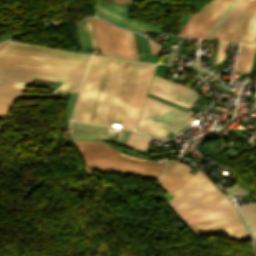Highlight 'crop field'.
<instances>
[{
  "label": "crop field",
  "mask_w": 256,
  "mask_h": 256,
  "mask_svg": "<svg viewBox=\"0 0 256 256\" xmlns=\"http://www.w3.org/2000/svg\"><path fill=\"white\" fill-rule=\"evenodd\" d=\"M88 169L158 178L165 164L124 155L97 141H74Z\"/></svg>",
  "instance_id": "crop-field-1"
},
{
  "label": "crop field",
  "mask_w": 256,
  "mask_h": 256,
  "mask_svg": "<svg viewBox=\"0 0 256 256\" xmlns=\"http://www.w3.org/2000/svg\"><path fill=\"white\" fill-rule=\"evenodd\" d=\"M191 114L146 98L136 130L157 139L169 133H179L193 121Z\"/></svg>",
  "instance_id": "crop-field-2"
},
{
  "label": "crop field",
  "mask_w": 256,
  "mask_h": 256,
  "mask_svg": "<svg viewBox=\"0 0 256 256\" xmlns=\"http://www.w3.org/2000/svg\"><path fill=\"white\" fill-rule=\"evenodd\" d=\"M224 200L227 198L202 174L166 204L179 218Z\"/></svg>",
  "instance_id": "crop-field-3"
},
{
  "label": "crop field",
  "mask_w": 256,
  "mask_h": 256,
  "mask_svg": "<svg viewBox=\"0 0 256 256\" xmlns=\"http://www.w3.org/2000/svg\"><path fill=\"white\" fill-rule=\"evenodd\" d=\"M31 77L81 84L79 78L0 66V105L12 107Z\"/></svg>",
  "instance_id": "crop-field-4"
},
{
  "label": "crop field",
  "mask_w": 256,
  "mask_h": 256,
  "mask_svg": "<svg viewBox=\"0 0 256 256\" xmlns=\"http://www.w3.org/2000/svg\"><path fill=\"white\" fill-rule=\"evenodd\" d=\"M0 56L85 69L89 56L10 43Z\"/></svg>",
  "instance_id": "crop-field-5"
},
{
  "label": "crop field",
  "mask_w": 256,
  "mask_h": 256,
  "mask_svg": "<svg viewBox=\"0 0 256 256\" xmlns=\"http://www.w3.org/2000/svg\"><path fill=\"white\" fill-rule=\"evenodd\" d=\"M143 63L127 61L106 124H123Z\"/></svg>",
  "instance_id": "crop-field-6"
},
{
  "label": "crop field",
  "mask_w": 256,
  "mask_h": 256,
  "mask_svg": "<svg viewBox=\"0 0 256 256\" xmlns=\"http://www.w3.org/2000/svg\"><path fill=\"white\" fill-rule=\"evenodd\" d=\"M107 57L92 56L71 119L87 121Z\"/></svg>",
  "instance_id": "crop-field-7"
},
{
  "label": "crop field",
  "mask_w": 256,
  "mask_h": 256,
  "mask_svg": "<svg viewBox=\"0 0 256 256\" xmlns=\"http://www.w3.org/2000/svg\"><path fill=\"white\" fill-rule=\"evenodd\" d=\"M93 20L101 53L131 59L125 30L96 18Z\"/></svg>",
  "instance_id": "crop-field-8"
},
{
  "label": "crop field",
  "mask_w": 256,
  "mask_h": 256,
  "mask_svg": "<svg viewBox=\"0 0 256 256\" xmlns=\"http://www.w3.org/2000/svg\"><path fill=\"white\" fill-rule=\"evenodd\" d=\"M127 6L100 0L94 8L97 16L104 18L114 24L133 29L144 33L143 31L159 33L160 27L154 25L143 24L125 16ZM146 34V33H144Z\"/></svg>",
  "instance_id": "crop-field-9"
},
{
  "label": "crop field",
  "mask_w": 256,
  "mask_h": 256,
  "mask_svg": "<svg viewBox=\"0 0 256 256\" xmlns=\"http://www.w3.org/2000/svg\"><path fill=\"white\" fill-rule=\"evenodd\" d=\"M224 39L256 43V0H249Z\"/></svg>",
  "instance_id": "crop-field-10"
},
{
  "label": "crop field",
  "mask_w": 256,
  "mask_h": 256,
  "mask_svg": "<svg viewBox=\"0 0 256 256\" xmlns=\"http://www.w3.org/2000/svg\"><path fill=\"white\" fill-rule=\"evenodd\" d=\"M228 0H213L200 13L192 14L180 34L203 38Z\"/></svg>",
  "instance_id": "crop-field-11"
},
{
  "label": "crop field",
  "mask_w": 256,
  "mask_h": 256,
  "mask_svg": "<svg viewBox=\"0 0 256 256\" xmlns=\"http://www.w3.org/2000/svg\"><path fill=\"white\" fill-rule=\"evenodd\" d=\"M194 234L231 233V238L249 237L238 214L188 226Z\"/></svg>",
  "instance_id": "crop-field-12"
},
{
  "label": "crop field",
  "mask_w": 256,
  "mask_h": 256,
  "mask_svg": "<svg viewBox=\"0 0 256 256\" xmlns=\"http://www.w3.org/2000/svg\"><path fill=\"white\" fill-rule=\"evenodd\" d=\"M149 92L188 108L192 105L193 101L198 95V92L167 81L156 75L154 76Z\"/></svg>",
  "instance_id": "crop-field-13"
},
{
  "label": "crop field",
  "mask_w": 256,
  "mask_h": 256,
  "mask_svg": "<svg viewBox=\"0 0 256 256\" xmlns=\"http://www.w3.org/2000/svg\"><path fill=\"white\" fill-rule=\"evenodd\" d=\"M155 64L144 63L122 128L134 130Z\"/></svg>",
  "instance_id": "crop-field-14"
},
{
  "label": "crop field",
  "mask_w": 256,
  "mask_h": 256,
  "mask_svg": "<svg viewBox=\"0 0 256 256\" xmlns=\"http://www.w3.org/2000/svg\"><path fill=\"white\" fill-rule=\"evenodd\" d=\"M125 60L115 59L94 123L105 124L114 94L116 92Z\"/></svg>",
  "instance_id": "crop-field-15"
},
{
  "label": "crop field",
  "mask_w": 256,
  "mask_h": 256,
  "mask_svg": "<svg viewBox=\"0 0 256 256\" xmlns=\"http://www.w3.org/2000/svg\"><path fill=\"white\" fill-rule=\"evenodd\" d=\"M0 65L82 78V69L0 57Z\"/></svg>",
  "instance_id": "crop-field-16"
},
{
  "label": "crop field",
  "mask_w": 256,
  "mask_h": 256,
  "mask_svg": "<svg viewBox=\"0 0 256 256\" xmlns=\"http://www.w3.org/2000/svg\"><path fill=\"white\" fill-rule=\"evenodd\" d=\"M190 169L191 168L189 166L178 162L160 186L175 195L182 188L202 174L198 170L194 175H192L189 173Z\"/></svg>",
  "instance_id": "crop-field-17"
},
{
  "label": "crop field",
  "mask_w": 256,
  "mask_h": 256,
  "mask_svg": "<svg viewBox=\"0 0 256 256\" xmlns=\"http://www.w3.org/2000/svg\"><path fill=\"white\" fill-rule=\"evenodd\" d=\"M237 213L230 200L211 206L204 210L182 217L179 220L184 224L196 223Z\"/></svg>",
  "instance_id": "crop-field-18"
},
{
  "label": "crop field",
  "mask_w": 256,
  "mask_h": 256,
  "mask_svg": "<svg viewBox=\"0 0 256 256\" xmlns=\"http://www.w3.org/2000/svg\"><path fill=\"white\" fill-rule=\"evenodd\" d=\"M255 47L256 45L241 43L238 62L235 71L247 72L250 70V65L255 51Z\"/></svg>",
  "instance_id": "crop-field-19"
},
{
  "label": "crop field",
  "mask_w": 256,
  "mask_h": 256,
  "mask_svg": "<svg viewBox=\"0 0 256 256\" xmlns=\"http://www.w3.org/2000/svg\"><path fill=\"white\" fill-rule=\"evenodd\" d=\"M239 0H229L220 15L217 17L204 38H214L218 30L221 28L229 14L232 12Z\"/></svg>",
  "instance_id": "crop-field-20"
},
{
  "label": "crop field",
  "mask_w": 256,
  "mask_h": 256,
  "mask_svg": "<svg viewBox=\"0 0 256 256\" xmlns=\"http://www.w3.org/2000/svg\"><path fill=\"white\" fill-rule=\"evenodd\" d=\"M112 62H113V58L108 57V61H107V64H106V67H105V70H104V73H103V76H102V79H101V82H100V85H99V88H98V91H97V94H96V97H95V100H94V103H93V106H92V109H91V112H90L87 122H90V123L94 122V119H95V116L97 113V109H98V106H99V103H100V100H101V97L103 94V90H104V87H105V84H106V81H107V78H108V75L110 72Z\"/></svg>",
  "instance_id": "crop-field-21"
},
{
  "label": "crop field",
  "mask_w": 256,
  "mask_h": 256,
  "mask_svg": "<svg viewBox=\"0 0 256 256\" xmlns=\"http://www.w3.org/2000/svg\"><path fill=\"white\" fill-rule=\"evenodd\" d=\"M151 138L139 134L135 131H131L125 146L131 147L143 152H147L151 142Z\"/></svg>",
  "instance_id": "crop-field-22"
},
{
  "label": "crop field",
  "mask_w": 256,
  "mask_h": 256,
  "mask_svg": "<svg viewBox=\"0 0 256 256\" xmlns=\"http://www.w3.org/2000/svg\"><path fill=\"white\" fill-rule=\"evenodd\" d=\"M247 1L248 0L239 1V3L237 4L233 12L230 14V16L228 17V19L226 20V22L224 23L222 28L219 30V32L217 33L214 39H222V37L224 36L226 31L229 29V27L231 26V24L233 23L237 15L240 13V11L242 10V8L244 7Z\"/></svg>",
  "instance_id": "crop-field-23"
},
{
  "label": "crop field",
  "mask_w": 256,
  "mask_h": 256,
  "mask_svg": "<svg viewBox=\"0 0 256 256\" xmlns=\"http://www.w3.org/2000/svg\"><path fill=\"white\" fill-rule=\"evenodd\" d=\"M88 28H89V32H90V36H91V41H92V46L93 48L98 47V42H97V38H96V33H95V29H94V24H93V20L92 18H88L85 19Z\"/></svg>",
  "instance_id": "crop-field-24"
},
{
  "label": "crop field",
  "mask_w": 256,
  "mask_h": 256,
  "mask_svg": "<svg viewBox=\"0 0 256 256\" xmlns=\"http://www.w3.org/2000/svg\"><path fill=\"white\" fill-rule=\"evenodd\" d=\"M242 213L243 216L248 215V214H252V213H256V204L254 203H250V204H246L243 206H239L238 207Z\"/></svg>",
  "instance_id": "crop-field-25"
},
{
  "label": "crop field",
  "mask_w": 256,
  "mask_h": 256,
  "mask_svg": "<svg viewBox=\"0 0 256 256\" xmlns=\"http://www.w3.org/2000/svg\"><path fill=\"white\" fill-rule=\"evenodd\" d=\"M126 32H127V37H128L131 57H132V59L138 60L136 49H135V44H134V40H133V35H132L131 32H129L127 30H126Z\"/></svg>",
  "instance_id": "crop-field-26"
},
{
  "label": "crop field",
  "mask_w": 256,
  "mask_h": 256,
  "mask_svg": "<svg viewBox=\"0 0 256 256\" xmlns=\"http://www.w3.org/2000/svg\"><path fill=\"white\" fill-rule=\"evenodd\" d=\"M226 46L227 42L220 41L216 58L217 63H220L223 60Z\"/></svg>",
  "instance_id": "crop-field-27"
},
{
  "label": "crop field",
  "mask_w": 256,
  "mask_h": 256,
  "mask_svg": "<svg viewBox=\"0 0 256 256\" xmlns=\"http://www.w3.org/2000/svg\"><path fill=\"white\" fill-rule=\"evenodd\" d=\"M177 161H168L167 166L161 175V177L157 181V185L161 183V181L166 177V175L171 171V169L176 165Z\"/></svg>",
  "instance_id": "crop-field-28"
},
{
  "label": "crop field",
  "mask_w": 256,
  "mask_h": 256,
  "mask_svg": "<svg viewBox=\"0 0 256 256\" xmlns=\"http://www.w3.org/2000/svg\"><path fill=\"white\" fill-rule=\"evenodd\" d=\"M226 191L232 196H237V195H241V194H244V193H247L246 190L234 185L228 189H226Z\"/></svg>",
  "instance_id": "crop-field-29"
},
{
  "label": "crop field",
  "mask_w": 256,
  "mask_h": 256,
  "mask_svg": "<svg viewBox=\"0 0 256 256\" xmlns=\"http://www.w3.org/2000/svg\"><path fill=\"white\" fill-rule=\"evenodd\" d=\"M244 218H245L250 230L256 228V214L245 216Z\"/></svg>",
  "instance_id": "crop-field-30"
},
{
  "label": "crop field",
  "mask_w": 256,
  "mask_h": 256,
  "mask_svg": "<svg viewBox=\"0 0 256 256\" xmlns=\"http://www.w3.org/2000/svg\"><path fill=\"white\" fill-rule=\"evenodd\" d=\"M150 42V47H151V51L152 53H158L161 54L162 48L158 47L157 45H155L154 43Z\"/></svg>",
  "instance_id": "crop-field-31"
},
{
  "label": "crop field",
  "mask_w": 256,
  "mask_h": 256,
  "mask_svg": "<svg viewBox=\"0 0 256 256\" xmlns=\"http://www.w3.org/2000/svg\"><path fill=\"white\" fill-rule=\"evenodd\" d=\"M0 108H1V109L10 110V108H8V107H2V106H0ZM1 109H0V117H6L8 111H7V110H1Z\"/></svg>",
  "instance_id": "crop-field-32"
},
{
  "label": "crop field",
  "mask_w": 256,
  "mask_h": 256,
  "mask_svg": "<svg viewBox=\"0 0 256 256\" xmlns=\"http://www.w3.org/2000/svg\"><path fill=\"white\" fill-rule=\"evenodd\" d=\"M133 35H134V39H135L136 49H137V51H141L138 36L135 33H133Z\"/></svg>",
  "instance_id": "crop-field-33"
},
{
  "label": "crop field",
  "mask_w": 256,
  "mask_h": 256,
  "mask_svg": "<svg viewBox=\"0 0 256 256\" xmlns=\"http://www.w3.org/2000/svg\"><path fill=\"white\" fill-rule=\"evenodd\" d=\"M188 66H190L191 68L195 69L196 71H198L202 75L205 74L204 71H202L200 68H198L197 66L193 65L192 63L190 65H188Z\"/></svg>",
  "instance_id": "crop-field-34"
},
{
  "label": "crop field",
  "mask_w": 256,
  "mask_h": 256,
  "mask_svg": "<svg viewBox=\"0 0 256 256\" xmlns=\"http://www.w3.org/2000/svg\"><path fill=\"white\" fill-rule=\"evenodd\" d=\"M10 40H11V39H9V40H7V41H5V42L0 43V50H1L4 46H6V45L9 43Z\"/></svg>",
  "instance_id": "crop-field-35"
},
{
  "label": "crop field",
  "mask_w": 256,
  "mask_h": 256,
  "mask_svg": "<svg viewBox=\"0 0 256 256\" xmlns=\"http://www.w3.org/2000/svg\"><path fill=\"white\" fill-rule=\"evenodd\" d=\"M173 58H174V55L170 53V54H169V58H168V62H167V63L171 64V63H172V61H173Z\"/></svg>",
  "instance_id": "crop-field-36"
},
{
  "label": "crop field",
  "mask_w": 256,
  "mask_h": 256,
  "mask_svg": "<svg viewBox=\"0 0 256 256\" xmlns=\"http://www.w3.org/2000/svg\"><path fill=\"white\" fill-rule=\"evenodd\" d=\"M251 232L253 234L254 239L256 240V230H252Z\"/></svg>",
  "instance_id": "crop-field-37"
},
{
  "label": "crop field",
  "mask_w": 256,
  "mask_h": 256,
  "mask_svg": "<svg viewBox=\"0 0 256 256\" xmlns=\"http://www.w3.org/2000/svg\"><path fill=\"white\" fill-rule=\"evenodd\" d=\"M82 23H83V22H82ZM82 23H81V24H82ZM84 23H85V22H84ZM83 26H84V24H83ZM85 26H86V24H85ZM85 26H84V29H85ZM85 33H86V29H85ZM87 34H88V31H87Z\"/></svg>",
  "instance_id": "crop-field-38"
},
{
  "label": "crop field",
  "mask_w": 256,
  "mask_h": 256,
  "mask_svg": "<svg viewBox=\"0 0 256 256\" xmlns=\"http://www.w3.org/2000/svg\"><path fill=\"white\" fill-rule=\"evenodd\" d=\"M183 56V55H182Z\"/></svg>",
  "instance_id": "crop-field-39"
}]
</instances>
